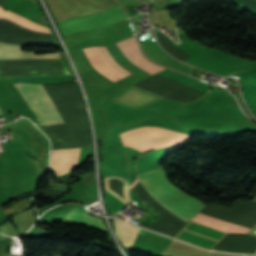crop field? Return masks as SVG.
<instances>
[{
  "mask_svg": "<svg viewBox=\"0 0 256 256\" xmlns=\"http://www.w3.org/2000/svg\"><path fill=\"white\" fill-rule=\"evenodd\" d=\"M137 180L145 187V189L156 201L187 222L206 206L200 201L174 187L169 182L162 168L138 175ZM137 180L133 185L130 186L131 189L138 182Z\"/></svg>",
  "mask_w": 256,
  "mask_h": 256,
  "instance_id": "8a807250",
  "label": "crop field"
},
{
  "mask_svg": "<svg viewBox=\"0 0 256 256\" xmlns=\"http://www.w3.org/2000/svg\"><path fill=\"white\" fill-rule=\"evenodd\" d=\"M123 19H127V16L122 7L117 4L100 12L70 18L57 24L62 34L67 35L85 29L104 26Z\"/></svg>",
  "mask_w": 256,
  "mask_h": 256,
  "instance_id": "ac0d7876",
  "label": "crop field"
},
{
  "mask_svg": "<svg viewBox=\"0 0 256 256\" xmlns=\"http://www.w3.org/2000/svg\"><path fill=\"white\" fill-rule=\"evenodd\" d=\"M35 112L41 125L64 123L41 85L14 84ZM33 112V113H34ZM60 125V124H59ZM50 126V125H49Z\"/></svg>",
  "mask_w": 256,
  "mask_h": 256,
  "instance_id": "34b2d1b8",
  "label": "crop field"
},
{
  "mask_svg": "<svg viewBox=\"0 0 256 256\" xmlns=\"http://www.w3.org/2000/svg\"><path fill=\"white\" fill-rule=\"evenodd\" d=\"M97 62L102 65L106 70H108L111 74H113L115 77L121 79L129 74H131L130 72H128L127 70L123 69L122 67H120L110 56L108 50L106 47H93L91 48ZM90 48H86L84 49L90 63L92 64V66L96 69L97 72L101 73L102 75H104L105 77L109 78L110 80H112L113 82L119 80L117 78H115L113 75H111L108 71H106L102 66H100L92 52H91Z\"/></svg>",
  "mask_w": 256,
  "mask_h": 256,
  "instance_id": "412701ff",
  "label": "crop field"
},
{
  "mask_svg": "<svg viewBox=\"0 0 256 256\" xmlns=\"http://www.w3.org/2000/svg\"><path fill=\"white\" fill-rule=\"evenodd\" d=\"M157 95V94H156ZM136 88L134 86L129 87L128 89L114 95L109 98L121 105H124L132 110H135L139 107L147 105L151 102H154L161 97Z\"/></svg>",
  "mask_w": 256,
  "mask_h": 256,
  "instance_id": "f4fd0767",
  "label": "crop field"
},
{
  "mask_svg": "<svg viewBox=\"0 0 256 256\" xmlns=\"http://www.w3.org/2000/svg\"><path fill=\"white\" fill-rule=\"evenodd\" d=\"M79 149L52 150L50 166L59 176L70 173L69 166L77 158Z\"/></svg>",
  "mask_w": 256,
  "mask_h": 256,
  "instance_id": "dd49c442",
  "label": "crop field"
},
{
  "mask_svg": "<svg viewBox=\"0 0 256 256\" xmlns=\"http://www.w3.org/2000/svg\"><path fill=\"white\" fill-rule=\"evenodd\" d=\"M22 47L0 43V59L61 58V53L34 55V52L21 51Z\"/></svg>",
  "mask_w": 256,
  "mask_h": 256,
  "instance_id": "e52e79f7",
  "label": "crop field"
},
{
  "mask_svg": "<svg viewBox=\"0 0 256 256\" xmlns=\"http://www.w3.org/2000/svg\"><path fill=\"white\" fill-rule=\"evenodd\" d=\"M216 218V217H215ZM204 214L199 213L192 221L210 226L212 228L227 232V233H247L250 228L225 222L219 219H215Z\"/></svg>",
  "mask_w": 256,
  "mask_h": 256,
  "instance_id": "d8731c3e",
  "label": "crop field"
},
{
  "mask_svg": "<svg viewBox=\"0 0 256 256\" xmlns=\"http://www.w3.org/2000/svg\"><path fill=\"white\" fill-rule=\"evenodd\" d=\"M69 219L82 221L103 229H106L101 218H95L90 216L86 210L74 207L70 214L67 216ZM107 230V229H106Z\"/></svg>",
  "mask_w": 256,
  "mask_h": 256,
  "instance_id": "5a996713",
  "label": "crop field"
},
{
  "mask_svg": "<svg viewBox=\"0 0 256 256\" xmlns=\"http://www.w3.org/2000/svg\"><path fill=\"white\" fill-rule=\"evenodd\" d=\"M0 15L6 16L8 18H11V19H13V20H15V21H17V22H19V23H21V24H23V25H25V26H27L29 28H32V29L44 30V31L48 30L47 28H45V27H43L41 25L33 23V22H31V21H29V20H27V19H25V18H23L21 16H18L16 14L8 12V11L2 9V8H0Z\"/></svg>",
  "mask_w": 256,
  "mask_h": 256,
  "instance_id": "3316defc",
  "label": "crop field"
},
{
  "mask_svg": "<svg viewBox=\"0 0 256 256\" xmlns=\"http://www.w3.org/2000/svg\"><path fill=\"white\" fill-rule=\"evenodd\" d=\"M0 114H2L1 110H0Z\"/></svg>",
  "mask_w": 256,
  "mask_h": 256,
  "instance_id": "28ad6ade",
  "label": "crop field"
},
{
  "mask_svg": "<svg viewBox=\"0 0 256 256\" xmlns=\"http://www.w3.org/2000/svg\"><path fill=\"white\" fill-rule=\"evenodd\" d=\"M0 19H2V18H0Z\"/></svg>",
  "mask_w": 256,
  "mask_h": 256,
  "instance_id": "d1516ede",
  "label": "crop field"
}]
</instances>
